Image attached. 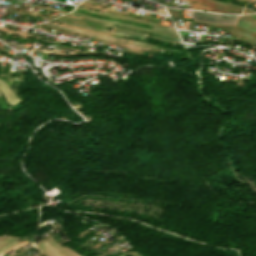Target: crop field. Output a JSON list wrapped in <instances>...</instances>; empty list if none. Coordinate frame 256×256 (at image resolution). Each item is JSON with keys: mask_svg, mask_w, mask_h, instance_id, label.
I'll list each match as a JSON object with an SVG mask.
<instances>
[{"mask_svg": "<svg viewBox=\"0 0 256 256\" xmlns=\"http://www.w3.org/2000/svg\"><path fill=\"white\" fill-rule=\"evenodd\" d=\"M1 89V88H0ZM2 90V89H1ZM2 92H3V90H2ZM3 94H4V96H5V98L7 99V97H6V95H5V93L3 92ZM7 101H8V99H7ZM10 104H11V102H10ZM12 105V104H11Z\"/></svg>", "mask_w": 256, "mask_h": 256, "instance_id": "obj_13", "label": "crop field"}, {"mask_svg": "<svg viewBox=\"0 0 256 256\" xmlns=\"http://www.w3.org/2000/svg\"><path fill=\"white\" fill-rule=\"evenodd\" d=\"M252 1H254V0H252Z\"/></svg>", "mask_w": 256, "mask_h": 256, "instance_id": "obj_20", "label": "crop field"}, {"mask_svg": "<svg viewBox=\"0 0 256 256\" xmlns=\"http://www.w3.org/2000/svg\"><path fill=\"white\" fill-rule=\"evenodd\" d=\"M1 86V85H0ZM2 87V86H1ZM3 88V87H2ZM4 89V88H3ZM5 90V89H4ZM6 92V91H5ZM6 94H7V92H6ZM7 96H8V94H7ZM8 98H9V96H8ZM10 100V99H9ZM11 101V100H10Z\"/></svg>", "mask_w": 256, "mask_h": 256, "instance_id": "obj_15", "label": "crop field"}, {"mask_svg": "<svg viewBox=\"0 0 256 256\" xmlns=\"http://www.w3.org/2000/svg\"><path fill=\"white\" fill-rule=\"evenodd\" d=\"M237 17L192 11V19L217 24H234Z\"/></svg>", "mask_w": 256, "mask_h": 256, "instance_id": "obj_1", "label": "crop field"}, {"mask_svg": "<svg viewBox=\"0 0 256 256\" xmlns=\"http://www.w3.org/2000/svg\"><path fill=\"white\" fill-rule=\"evenodd\" d=\"M14 12H18V13H22V14H26V15H30V16H34V17H36V15H32V14H28V13H23V12H19V11H15V10H13ZM39 17H41V16H39ZM45 18V17H44ZM48 19H50V18H48Z\"/></svg>", "mask_w": 256, "mask_h": 256, "instance_id": "obj_10", "label": "crop field"}, {"mask_svg": "<svg viewBox=\"0 0 256 256\" xmlns=\"http://www.w3.org/2000/svg\"><path fill=\"white\" fill-rule=\"evenodd\" d=\"M65 26V25H64ZM78 29V28H77ZM83 30V29H82ZM87 31V30H86ZM104 35V34H103ZM107 36H109V35H107Z\"/></svg>", "mask_w": 256, "mask_h": 256, "instance_id": "obj_17", "label": "crop field"}, {"mask_svg": "<svg viewBox=\"0 0 256 256\" xmlns=\"http://www.w3.org/2000/svg\"><path fill=\"white\" fill-rule=\"evenodd\" d=\"M72 14H76V15H80V16H84V17L96 19V20H99V21H102V22L115 23V22H112V21H106V20H102V19H98V18H94V17H90V16H86V15H82V14H78V13H74V12H72ZM116 24L131 26V25L122 24V23H118V22H116ZM131 27H135V28H138V29L147 30V29H145V28H140V27H136V26H133V25H132ZM148 31H149V30H148ZM151 32H153V31H151ZM155 33H157V32H155ZM159 34H161V33H159ZM163 35H164V34H163ZM168 35H169V34H168ZM171 36H173V35H171ZM176 37H177V36H176Z\"/></svg>", "mask_w": 256, "mask_h": 256, "instance_id": "obj_4", "label": "crop field"}, {"mask_svg": "<svg viewBox=\"0 0 256 256\" xmlns=\"http://www.w3.org/2000/svg\"><path fill=\"white\" fill-rule=\"evenodd\" d=\"M84 3H89V4H93V5H98V6H102V7H107V6H103V5H99V4H95V3H90V2H86V1H83ZM109 8V7H107Z\"/></svg>", "mask_w": 256, "mask_h": 256, "instance_id": "obj_12", "label": "crop field"}, {"mask_svg": "<svg viewBox=\"0 0 256 256\" xmlns=\"http://www.w3.org/2000/svg\"><path fill=\"white\" fill-rule=\"evenodd\" d=\"M54 20L65 22V23H69V24H72V25H78V26L84 27V28H89V29H94V30H99V31H105V30H100V29L92 28V27H89V26L77 24V23H74V22H70V21H66V20H62V19H58V18H56ZM105 32H107V31H105ZM113 33H115V34H122V35H128V36L137 37V38H141V39L144 38V36H142V35H138V34H135V33H132V32H126V31L114 30Z\"/></svg>", "mask_w": 256, "mask_h": 256, "instance_id": "obj_3", "label": "crop field"}, {"mask_svg": "<svg viewBox=\"0 0 256 256\" xmlns=\"http://www.w3.org/2000/svg\"><path fill=\"white\" fill-rule=\"evenodd\" d=\"M16 244H18V243H17V242H14V243H11V244L7 245L6 247H4L3 249L0 250V253H1L2 251H4V250H6V249H8V248H10V247H12V246H14V245H16Z\"/></svg>", "mask_w": 256, "mask_h": 256, "instance_id": "obj_8", "label": "crop field"}, {"mask_svg": "<svg viewBox=\"0 0 256 256\" xmlns=\"http://www.w3.org/2000/svg\"><path fill=\"white\" fill-rule=\"evenodd\" d=\"M51 9H53V8H51ZM53 10H58V9H53ZM59 11H62V10H59ZM67 12V11H66Z\"/></svg>", "mask_w": 256, "mask_h": 256, "instance_id": "obj_16", "label": "crop field"}, {"mask_svg": "<svg viewBox=\"0 0 256 256\" xmlns=\"http://www.w3.org/2000/svg\"><path fill=\"white\" fill-rule=\"evenodd\" d=\"M48 23H49V24H53V23H50V22H48ZM49 24H47V25H49ZM53 25H56V24H53ZM53 25H51V26H53ZM57 26H59V25H57ZM57 26H54V27H57ZM62 27H64V26H62ZM57 28H61V27H57ZM66 28H68V27H66ZM66 28H61V29H65V30H69V31H73V32L81 33V34L89 33V34H93V35L100 36V37H105V38H111V39H117V40H123V41H128V42H130V40H126V39L114 38V37H107V36H103V35H99V34H94V33H90V32H85V31H82V32H85V33H82V32H78V31H81V30L74 31V30H76V29L70 30V29H72V28H70V29H66ZM89 34H85V35H89ZM93 35H89V36L96 37V36H93ZM100 37H96V38H99V39H100ZM102 39H103V40H108V41H114V42L124 43V42H122V41H116V40H110V39H104V38H102ZM128 42H125L124 44H126V45H132V46H135V47H141V48H148V47L142 46V45H139V44H144V45H148V46H149V44L140 43V42H134V41H132L133 43H139V44H133V43H128Z\"/></svg>", "mask_w": 256, "mask_h": 256, "instance_id": "obj_2", "label": "crop field"}, {"mask_svg": "<svg viewBox=\"0 0 256 256\" xmlns=\"http://www.w3.org/2000/svg\"><path fill=\"white\" fill-rule=\"evenodd\" d=\"M220 3V2H219ZM241 8V7H240Z\"/></svg>", "mask_w": 256, "mask_h": 256, "instance_id": "obj_21", "label": "crop field"}, {"mask_svg": "<svg viewBox=\"0 0 256 256\" xmlns=\"http://www.w3.org/2000/svg\"><path fill=\"white\" fill-rule=\"evenodd\" d=\"M254 6H256V3L254 4Z\"/></svg>", "mask_w": 256, "mask_h": 256, "instance_id": "obj_18", "label": "crop field"}, {"mask_svg": "<svg viewBox=\"0 0 256 256\" xmlns=\"http://www.w3.org/2000/svg\"><path fill=\"white\" fill-rule=\"evenodd\" d=\"M62 17H67V18H71V19H76V20H81V21H85V22H90V21H87V20H84V19H78V18H73V17H69V16H62ZM90 23H93V22H90ZM95 24H97V23H95ZM99 25H101V24H99ZM103 26H105V25H103ZM107 27H111V26H107ZM111 28H113V27H111Z\"/></svg>", "mask_w": 256, "mask_h": 256, "instance_id": "obj_7", "label": "crop field"}, {"mask_svg": "<svg viewBox=\"0 0 256 256\" xmlns=\"http://www.w3.org/2000/svg\"><path fill=\"white\" fill-rule=\"evenodd\" d=\"M37 256H39V254Z\"/></svg>", "mask_w": 256, "mask_h": 256, "instance_id": "obj_19", "label": "crop field"}, {"mask_svg": "<svg viewBox=\"0 0 256 256\" xmlns=\"http://www.w3.org/2000/svg\"><path fill=\"white\" fill-rule=\"evenodd\" d=\"M240 18L245 19V20H248V21L253 22V23H256V21L251 20V19H248V18H245V17H243V16H240Z\"/></svg>", "mask_w": 256, "mask_h": 256, "instance_id": "obj_11", "label": "crop field"}, {"mask_svg": "<svg viewBox=\"0 0 256 256\" xmlns=\"http://www.w3.org/2000/svg\"><path fill=\"white\" fill-rule=\"evenodd\" d=\"M0 84H1L3 87H5V88L11 93V95L14 97V99H15L17 102H19L18 99L14 96L13 92L4 84L3 81L0 80ZM7 90H6V91H7ZM8 91H7V92H8ZM9 92H8V93H9ZM10 93H9V96H10L11 100H12L14 103H17V102L13 99V97L10 95Z\"/></svg>", "mask_w": 256, "mask_h": 256, "instance_id": "obj_5", "label": "crop field"}, {"mask_svg": "<svg viewBox=\"0 0 256 256\" xmlns=\"http://www.w3.org/2000/svg\"><path fill=\"white\" fill-rule=\"evenodd\" d=\"M65 24V23H64ZM66 25H69V24H66ZM69 26H72V25H69ZM76 27V26H75ZM89 30V29H88ZM94 31V30H93ZM99 32V31H98ZM103 33H105V32H103ZM107 34H109V33H107Z\"/></svg>", "mask_w": 256, "mask_h": 256, "instance_id": "obj_14", "label": "crop field"}, {"mask_svg": "<svg viewBox=\"0 0 256 256\" xmlns=\"http://www.w3.org/2000/svg\"><path fill=\"white\" fill-rule=\"evenodd\" d=\"M79 8V7H78ZM83 9V8H82ZM87 10V9H86ZM89 11H91V10H89ZM93 12H95V11H93ZM99 13V12H98ZM101 14H105V13H101ZM105 15H109V14H105ZM109 16H113V17H115L114 15H109ZM118 17V16H117ZM118 18H122V17H118ZM124 19H126V18H124ZM133 21H135V20H133ZM136 22H140V21H136ZM145 23V22H144ZM149 24V23H148ZM151 25H153V24H151ZM156 26H159V25H156ZM175 31V30H174Z\"/></svg>", "mask_w": 256, "mask_h": 256, "instance_id": "obj_9", "label": "crop field"}, {"mask_svg": "<svg viewBox=\"0 0 256 256\" xmlns=\"http://www.w3.org/2000/svg\"><path fill=\"white\" fill-rule=\"evenodd\" d=\"M154 30L160 31V32H164V33H169V34H173V35H177L176 32L174 31H170L167 29H163V28H159V27H153Z\"/></svg>", "mask_w": 256, "mask_h": 256, "instance_id": "obj_6", "label": "crop field"}]
</instances>
